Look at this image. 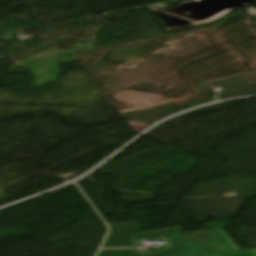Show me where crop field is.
Here are the masks:
<instances>
[{
	"label": "crop field",
	"instance_id": "crop-field-1",
	"mask_svg": "<svg viewBox=\"0 0 256 256\" xmlns=\"http://www.w3.org/2000/svg\"><path fill=\"white\" fill-rule=\"evenodd\" d=\"M134 240L162 236L170 250L141 256H253L239 251L222 228L181 234V226L133 235Z\"/></svg>",
	"mask_w": 256,
	"mask_h": 256
},
{
	"label": "crop field",
	"instance_id": "crop-field-2",
	"mask_svg": "<svg viewBox=\"0 0 256 256\" xmlns=\"http://www.w3.org/2000/svg\"><path fill=\"white\" fill-rule=\"evenodd\" d=\"M251 251V253L254 255V256H256V249H252V250H250Z\"/></svg>",
	"mask_w": 256,
	"mask_h": 256
}]
</instances>
